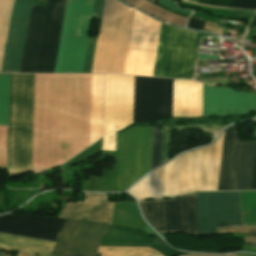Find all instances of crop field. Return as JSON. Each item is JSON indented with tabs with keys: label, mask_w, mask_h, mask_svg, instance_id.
Instances as JSON below:
<instances>
[{
	"label": "crop field",
	"mask_w": 256,
	"mask_h": 256,
	"mask_svg": "<svg viewBox=\"0 0 256 256\" xmlns=\"http://www.w3.org/2000/svg\"><path fill=\"white\" fill-rule=\"evenodd\" d=\"M251 110L256 111V94H245V92H235L231 88L203 84L202 116L246 115Z\"/></svg>",
	"instance_id": "12"
},
{
	"label": "crop field",
	"mask_w": 256,
	"mask_h": 256,
	"mask_svg": "<svg viewBox=\"0 0 256 256\" xmlns=\"http://www.w3.org/2000/svg\"><path fill=\"white\" fill-rule=\"evenodd\" d=\"M230 0H198L197 3L209 5V6H222L227 7Z\"/></svg>",
	"instance_id": "25"
},
{
	"label": "crop field",
	"mask_w": 256,
	"mask_h": 256,
	"mask_svg": "<svg viewBox=\"0 0 256 256\" xmlns=\"http://www.w3.org/2000/svg\"><path fill=\"white\" fill-rule=\"evenodd\" d=\"M64 0L30 11L19 72H52ZM94 0H65L53 72L81 73Z\"/></svg>",
	"instance_id": "1"
},
{
	"label": "crop field",
	"mask_w": 256,
	"mask_h": 256,
	"mask_svg": "<svg viewBox=\"0 0 256 256\" xmlns=\"http://www.w3.org/2000/svg\"><path fill=\"white\" fill-rule=\"evenodd\" d=\"M217 233H237V234H256V227L252 226H226L218 227Z\"/></svg>",
	"instance_id": "23"
},
{
	"label": "crop field",
	"mask_w": 256,
	"mask_h": 256,
	"mask_svg": "<svg viewBox=\"0 0 256 256\" xmlns=\"http://www.w3.org/2000/svg\"><path fill=\"white\" fill-rule=\"evenodd\" d=\"M224 126L217 124H207V125H195V126H175V127H163L162 131V149H161V163L167 161V146H168V133L169 129H194V128H206V129H216L221 130Z\"/></svg>",
	"instance_id": "20"
},
{
	"label": "crop field",
	"mask_w": 256,
	"mask_h": 256,
	"mask_svg": "<svg viewBox=\"0 0 256 256\" xmlns=\"http://www.w3.org/2000/svg\"><path fill=\"white\" fill-rule=\"evenodd\" d=\"M34 74H10L8 172L30 168Z\"/></svg>",
	"instance_id": "2"
},
{
	"label": "crop field",
	"mask_w": 256,
	"mask_h": 256,
	"mask_svg": "<svg viewBox=\"0 0 256 256\" xmlns=\"http://www.w3.org/2000/svg\"><path fill=\"white\" fill-rule=\"evenodd\" d=\"M199 35L162 23L152 76L192 79Z\"/></svg>",
	"instance_id": "3"
},
{
	"label": "crop field",
	"mask_w": 256,
	"mask_h": 256,
	"mask_svg": "<svg viewBox=\"0 0 256 256\" xmlns=\"http://www.w3.org/2000/svg\"><path fill=\"white\" fill-rule=\"evenodd\" d=\"M104 1L105 0H95V6H94V12H93V14L96 15L95 18L101 19Z\"/></svg>",
	"instance_id": "26"
},
{
	"label": "crop field",
	"mask_w": 256,
	"mask_h": 256,
	"mask_svg": "<svg viewBox=\"0 0 256 256\" xmlns=\"http://www.w3.org/2000/svg\"><path fill=\"white\" fill-rule=\"evenodd\" d=\"M61 256H100V253H92V254H74V253H64Z\"/></svg>",
	"instance_id": "28"
},
{
	"label": "crop field",
	"mask_w": 256,
	"mask_h": 256,
	"mask_svg": "<svg viewBox=\"0 0 256 256\" xmlns=\"http://www.w3.org/2000/svg\"><path fill=\"white\" fill-rule=\"evenodd\" d=\"M202 84L174 80L172 117L201 116Z\"/></svg>",
	"instance_id": "15"
},
{
	"label": "crop field",
	"mask_w": 256,
	"mask_h": 256,
	"mask_svg": "<svg viewBox=\"0 0 256 256\" xmlns=\"http://www.w3.org/2000/svg\"><path fill=\"white\" fill-rule=\"evenodd\" d=\"M154 240V238L140 232L113 226L102 235L99 246H150L159 251L163 256L187 254L173 250L169 246L156 244Z\"/></svg>",
	"instance_id": "16"
},
{
	"label": "crop field",
	"mask_w": 256,
	"mask_h": 256,
	"mask_svg": "<svg viewBox=\"0 0 256 256\" xmlns=\"http://www.w3.org/2000/svg\"><path fill=\"white\" fill-rule=\"evenodd\" d=\"M197 235L217 234L215 227L241 225L240 192L196 194Z\"/></svg>",
	"instance_id": "9"
},
{
	"label": "crop field",
	"mask_w": 256,
	"mask_h": 256,
	"mask_svg": "<svg viewBox=\"0 0 256 256\" xmlns=\"http://www.w3.org/2000/svg\"><path fill=\"white\" fill-rule=\"evenodd\" d=\"M103 75H92L89 144L101 137Z\"/></svg>",
	"instance_id": "18"
},
{
	"label": "crop field",
	"mask_w": 256,
	"mask_h": 256,
	"mask_svg": "<svg viewBox=\"0 0 256 256\" xmlns=\"http://www.w3.org/2000/svg\"><path fill=\"white\" fill-rule=\"evenodd\" d=\"M197 65H207V60H198Z\"/></svg>",
	"instance_id": "31"
},
{
	"label": "crop field",
	"mask_w": 256,
	"mask_h": 256,
	"mask_svg": "<svg viewBox=\"0 0 256 256\" xmlns=\"http://www.w3.org/2000/svg\"><path fill=\"white\" fill-rule=\"evenodd\" d=\"M161 23L134 12L124 74L151 76Z\"/></svg>",
	"instance_id": "10"
},
{
	"label": "crop field",
	"mask_w": 256,
	"mask_h": 256,
	"mask_svg": "<svg viewBox=\"0 0 256 256\" xmlns=\"http://www.w3.org/2000/svg\"><path fill=\"white\" fill-rule=\"evenodd\" d=\"M66 220L8 214L0 216V232L56 241Z\"/></svg>",
	"instance_id": "13"
},
{
	"label": "crop field",
	"mask_w": 256,
	"mask_h": 256,
	"mask_svg": "<svg viewBox=\"0 0 256 256\" xmlns=\"http://www.w3.org/2000/svg\"><path fill=\"white\" fill-rule=\"evenodd\" d=\"M204 23L203 21L189 19L187 27L202 30Z\"/></svg>",
	"instance_id": "27"
},
{
	"label": "crop field",
	"mask_w": 256,
	"mask_h": 256,
	"mask_svg": "<svg viewBox=\"0 0 256 256\" xmlns=\"http://www.w3.org/2000/svg\"><path fill=\"white\" fill-rule=\"evenodd\" d=\"M18 256H30V255H22V254H18Z\"/></svg>",
	"instance_id": "35"
},
{
	"label": "crop field",
	"mask_w": 256,
	"mask_h": 256,
	"mask_svg": "<svg viewBox=\"0 0 256 256\" xmlns=\"http://www.w3.org/2000/svg\"><path fill=\"white\" fill-rule=\"evenodd\" d=\"M161 132L153 126L151 169L160 165Z\"/></svg>",
	"instance_id": "21"
},
{
	"label": "crop field",
	"mask_w": 256,
	"mask_h": 256,
	"mask_svg": "<svg viewBox=\"0 0 256 256\" xmlns=\"http://www.w3.org/2000/svg\"><path fill=\"white\" fill-rule=\"evenodd\" d=\"M219 190H256V142H243L235 125L223 132Z\"/></svg>",
	"instance_id": "4"
},
{
	"label": "crop field",
	"mask_w": 256,
	"mask_h": 256,
	"mask_svg": "<svg viewBox=\"0 0 256 256\" xmlns=\"http://www.w3.org/2000/svg\"><path fill=\"white\" fill-rule=\"evenodd\" d=\"M97 38L89 37L82 73H90Z\"/></svg>",
	"instance_id": "22"
},
{
	"label": "crop field",
	"mask_w": 256,
	"mask_h": 256,
	"mask_svg": "<svg viewBox=\"0 0 256 256\" xmlns=\"http://www.w3.org/2000/svg\"><path fill=\"white\" fill-rule=\"evenodd\" d=\"M113 204L106 194L85 193V202H68L59 217L110 224Z\"/></svg>",
	"instance_id": "14"
},
{
	"label": "crop field",
	"mask_w": 256,
	"mask_h": 256,
	"mask_svg": "<svg viewBox=\"0 0 256 256\" xmlns=\"http://www.w3.org/2000/svg\"><path fill=\"white\" fill-rule=\"evenodd\" d=\"M193 252H208V251H193ZM209 253H228V252H209Z\"/></svg>",
	"instance_id": "32"
},
{
	"label": "crop field",
	"mask_w": 256,
	"mask_h": 256,
	"mask_svg": "<svg viewBox=\"0 0 256 256\" xmlns=\"http://www.w3.org/2000/svg\"><path fill=\"white\" fill-rule=\"evenodd\" d=\"M186 1H190V2L196 3L197 0H186Z\"/></svg>",
	"instance_id": "34"
},
{
	"label": "crop field",
	"mask_w": 256,
	"mask_h": 256,
	"mask_svg": "<svg viewBox=\"0 0 256 256\" xmlns=\"http://www.w3.org/2000/svg\"><path fill=\"white\" fill-rule=\"evenodd\" d=\"M152 126L133 127L119 134L118 191L150 171Z\"/></svg>",
	"instance_id": "6"
},
{
	"label": "crop field",
	"mask_w": 256,
	"mask_h": 256,
	"mask_svg": "<svg viewBox=\"0 0 256 256\" xmlns=\"http://www.w3.org/2000/svg\"><path fill=\"white\" fill-rule=\"evenodd\" d=\"M110 227L68 219L50 255L96 252L101 235ZM97 252H101V256H162L151 248L142 247H98Z\"/></svg>",
	"instance_id": "5"
},
{
	"label": "crop field",
	"mask_w": 256,
	"mask_h": 256,
	"mask_svg": "<svg viewBox=\"0 0 256 256\" xmlns=\"http://www.w3.org/2000/svg\"><path fill=\"white\" fill-rule=\"evenodd\" d=\"M173 80L135 77V122L171 118Z\"/></svg>",
	"instance_id": "11"
},
{
	"label": "crop field",
	"mask_w": 256,
	"mask_h": 256,
	"mask_svg": "<svg viewBox=\"0 0 256 256\" xmlns=\"http://www.w3.org/2000/svg\"><path fill=\"white\" fill-rule=\"evenodd\" d=\"M156 242L165 244L162 240H159V239H157Z\"/></svg>",
	"instance_id": "33"
},
{
	"label": "crop field",
	"mask_w": 256,
	"mask_h": 256,
	"mask_svg": "<svg viewBox=\"0 0 256 256\" xmlns=\"http://www.w3.org/2000/svg\"><path fill=\"white\" fill-rule=\"evenodd\" d=\"M139 203L146 220L159 233L196 235L195 194Z\"/></svg>",
	"instance_id": "8"
},
{
	"label": "crop field",
	"mask_w": 256,
	"mask_h": 256,
	"mask_svg": "<svg viewBox=\"0 0 256 256\" xmlns=\"http://www.w3.org/2000/svg\"><path fill=\"white\" fill-rule=\"evenodd\" d=\"M55 242L0 233V249L49 255Z\"/></svg>",
	"instance_id": "17"
},
{
	"label": "crop field",
	"mask_w": 256,
	"mask_h": 256,
	"mask_svg": "<svg viewBox=\"0 0 256 256\" xmlns=\"http://www.w3.org/2000/svg\"><path fill=\"white\" fill-rule=\"evenodd\" d=\"M198 59H218V57L199 54Z\"/></svg>",
	"instance_id": "29"
},
{
	"label": "crop field",
	"mask_w": 256,
	"mask_h": 256,
	"mask_svg": "<svg viewBox=\"0 0 256 256\" xmlns=\"http://www.w3.org/2000/svg\"><path fill=\"white\" fill-rule=\"evenodd\" d=\"M228 7L256 10V0H231Z\"/></svg>",
	"instance_id": "24"
},
{
	"label": "crop field",
	"mask_w": 256,
	"mask_h": 256,
	"mask_svg": "<svg viewBox=\"0 0 256 256\" xmlns=\"http://www.w3.org/2000/svg\"><path fill=\"white\" fill-rule=\"evenodd\" d=\"M9 75H0V125H7Z\"/></svg>",
	"instance_id": "19"
},
{
	"label": "crop field",
	"mask_w": 256,
	"mask_h": 256,
	"mask_svg": "<svg viewBox=\"0 0 256 256\" xmlns=\"http://www.w3.org/2000/svg\"><path fill=\"white\" fill-rule=\"evenodd\" d=\"M144 231L152 235V230L150 229V227L147 224L145 225Z\"/></svg>",
	"instance_id": "30"
},
{
	"label": "crop field",
	"mask_w": 256,
	"mask_h": 256,
	"mask_svg": "<svg viewBox=\"0 0 256 256\" xmlns=\"http://www.w3.org/2000/svg\"><path fill=\"white\" fill-rule=\"evenodd\" d=\"M33 0H0V65L1 72H18L29 11Z\"/></svg>",
	"instance_id": "7"
}]
</instances>
